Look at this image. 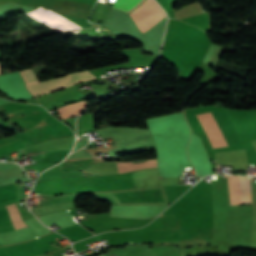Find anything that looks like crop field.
<instances>
[{"label":"crop field","mask_w":256,"mask_h":256,"mask_svg":"<svg viewBox=\"0 0 256 256\" xmlns=\"http://www.w3.org/2000/svg\"><path fill=\"white\" fill-rule=\"evenodd\" d=\"M40 202L43 215L73 208L70 197L54 200H40Z\"/></svg>","instance_id":"obj_5"},{"label":"crop field","mask_w":256,"mask_h":256,"mask_svg":"<svg viewBox=\"0 0 256 256\" xmlns=\"http://www.w3.org/2000/svg\"><path fill=\"white\" fill-rule=\"evenodd\" d=\"M148 0H146L139 8H137L135 11H133L130 16L136 12L138 9H140L144 4H146ZM160 6L154 1L149 0V2L144 5L140 10H138L136 13H134L131 17L137 24L141 20L147 18L150 14H152L156 9H158ZM165 16L164 12L161 8L156 10L152 15H150L147 19L141 21L138 25L140 30L145 32L149 28H151L153 25H155L157 22H159L163 17Z\"/></svg>","instance_id":"obj_2"},{"label":"crop field","mask_w":256,"mask_h":256,"mask_svg":"<svg viewBox=\"0 0 256 256\" xmlns=\"http://www.w3.org/2000/svg\"><path fill=\"white\" fill-rule=\"evenodd\" d=\"M197 118L207 133L214 149L228 147L223 134L211 113L198 115Z\"/></svg>","instance_id":"obj_4"},{"label":"crop field","mask_w":256,"mask_h":256,"mask_svg":"<svg viewBox=\"0 0 256 256\" xmlns=\"http://www.w3.org/2000/svg\"><path fill=\"white\" fill-rule=\"evenodd\" d=\"M241 204L251 203L250 177H239ZM230 205L240 204L238 177L228 178Z\"/></svg>","instance_id":"obj_3"},{"label":"crop field","mask_w":256,"mask_h":256,"mask_svg":"<svg viewBox=\"0 0 256 256\" xmlns=\"http://www.w3.org/2000/svg\"><path fill=\"white\" fill-rule=\"evenodd\" d=\"M87 106L85 100L77 102L75 104L58 108V112L62 119L79 115V113Z\"/></svg>","instance_id":"obj_6"},{"label":"crop field","mask_w":256,"mask_h":256,"mask_svg":"<svg viewBox=\"0 0 256 256\" xmlns=\"http://www.w3.org/2000/svg\"><path fill=\"white\" fill-rule=\"evenodd\" d=\"M139 1H141V0H116L113 5V8H117V9L124 10L127 12L131 8H133ZM142 1L139 2L134 8L138 7L142 3ZM133 9H131L129 12H131Z\"/></svg>","instance_id":"obj_8"},{"label":"crop field","mask_w":256,"mask_h":256,"mask_svg":"<svg viewBox=\"0 0 256 256\" xmlns=\"http://www.w3.org/2000/svg\"><path fill=\"white\" fill-rule=\"evenodd\" d=\"M20 73L26 83V87L28 91L35 96L52 92L65 87H69L76 83L95 78L94 76L89 74L87 71H85V72L69 75L66 77L38 83L31 69L21 71Z\"/></svg>","instance_id":"obj_1"},{"label":"crop field","mask_w":256,"mask_h":256,"mask_svg":"<svg viewBox=\"0 0 256 256\" xmlns=\"http://www.w3.org/2000/svg\"><path fill=\"white\" fill-rule=\"evenodd\" d=\"M152 161H156V160H152ZM146 162H151V161H146ZM117 164V168H118V172H126V171H130V170H137V169H144V168H155L157 167L156 162H152V163H137V164H131V162L129 163H116Z\"/></svg>","instance_id":"obj_7"}]
</instances>
